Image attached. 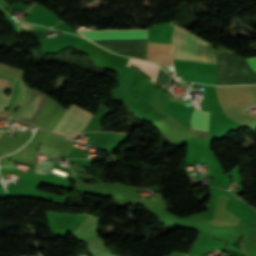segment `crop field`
I'll return each mask as SVG.
<instances>
[{
  "label": "crop field",
  "mask_w": 256,
  "mask_h": 256,
  "mask_svg": "<svg viewBox=\"0 0 256 256\" xmlns=\"http://www.w3.org/2000/svg\"><path fill=\"white\" fill-rule=\"evenodd\" d=\"M182 30L176 28L173 41V58L178 59ZM194 35L183 30L179 59L191 60ZM192 60L216 63L214 46L206 43L195 35Z\"/></svg>",
  "instance_id": "obj_1"
},
{
  "label": "crop field",
  "mask_w": 256,
  "mask_h": 256,
  "mask_svg": "<svg viewBox=\"0 0 256 256\" xmlns=\"http://www.w3.org/2000/svg\"><path fill=\"white\" fill-rule=\"evenodd\" d=\"M91 117L90 112L71 104L53 132L74 139L86 127Z\"/></svg>",
  "instance_id": "obj_2"
},
{
  "label": "crop field",
  "mask_w": 256,
  "mask_h": 256,
  "mask_svg": "<svg viewBox=\"0 0 256 256\" xmlns=\"http://www.w3.org/2000/svg\"><path fill=\"white\" fill-rule=\"evenodd\" d=\"M109 50L125 56L145 60L147 39L92 40Z\"/></svg>",
  "instance_id": "obj_3"
},
{
  "label": "crop field",
  "mask_w": 256,
  "mask_h": 256,
  "mask_svg": "<svg viewBox=\"0 0 256 256\" xmlns=\"http://www.w3.org/2000/svg\"><path fill=\"white\" fill-rule=\"evenodd\" d=\"M46 98L47 96L44 93L32 89L27 107L23 111V113L18 117V119L25 120L33 124L36 118L41 113Z\"/></svg>",
  "instance_id": "obj_4"
},
{
  "label": "crop field",
  "mask_w": 256,
  "mask_h": 256,
  "mask_svg": "<svg viewBox=\"0 0 256 256\" xmlns=\"http://www.w3.org/2000/svg\"><path fill=\"white\" fill-rule=\"evenodd\" d=\"M169 77L170 75L160 68L156 83L166 85L169 80Z\"/></svg>",
  "instance_id": "obj_5"
},
{
  "label": "crop field",
  "mask_w": 256,
  "mask_h": 256,
  "mask_svg": "<svg viewBox=\"0 0 256 256\" xmlns=\"http://www.w3.org/2000/svg\"><path fill=\"white\" fill-rule=\"evenodd\" d=\"M6 89L0 88V109H2L8 100V97L3 94Z\"/></svg>",
  "instance_id": "obj_6"
},
{
  "label": "crop field",
  "mask_w": 256,
  "mask_h": 256,
  "mask_svg": "<svg viewBox=\"0 0 256 256\" xmlns=\"http://www.w3.org/2000/svg\"><path fill=\"white\" fill-rule=\"evenodd\" d=\"M247 61L249 62L250 66H251L254 70H256V57H254V58H249V59H247Z\"/></svg>",
  "instance_id": "obj_7"
},
{
  "label": "crop field",
  "mask_w": 256,
  "mask_h": 256,
  "mask_svg": "<svg viewBox=\"0 0 256 256\" xmlns=\"http://www.w3.org/2000/svg\"><path fill=\"white\" fill-rule=\"evenodd\" d=\"M20 24H21V26H23V27L31 28V25L24 24V23H21V22H20Z\"/></svg>",
  "instance_id": "obj_8"
}]
</instances>
